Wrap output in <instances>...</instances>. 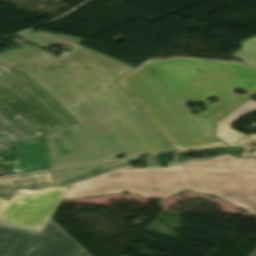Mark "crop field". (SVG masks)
<instances>
[{"label":"crop field","instance_id":"e52e79f7","mask_svg":"<svg viewBox=\"0 0 256 256\" xmlns=\"http://www.w3.org/2000/svg\"><path fill=\"white\" fill-rule=\"evenodd\" d=\"M15 161L1 162L7 175L50 169L44 135L14 147Z\"/></svg>","mask_w":256,"mask_h":256},{"label":"crop field","instance_id":"3316defc","mask_svg":"<svg viewBox=\"0 0 256 256\" xmlns=\"http://www.w3.org/2000/svg\"><path fill=\"white\" fill-rule=\"evenodd\" d=\"M256 95V94H255ZM256 110V102L252 100H247L246 102L242 103L239 107H237L233 112H231L226 117L222 118L221 120L217 121V128L215 135L220 140H222L226 144H232L237 140L243 138L246 135H243L231 128L230 125L244 116L245 114Z\"/></svg>","mask_w":256,"mask_h":256},{"label":"crop field","instance_id":"22f410ed","mask_svg":"<svg viewBox=\"0 0 256 256\" xmlns=\"http://www.w3.org/2000/svg\"><path fill=\"white\" fill-rule=\"evenodd\" d=\"M245 155L256 156V148H246L242 156H245Z\"/></svg>","mask_w":256,"mask_h":256},{"label":"crop field","instance_id":"f4fd0767","mask_svg":"<svg viewBox=\"0 0 256 256\" xmlns=\"http://www.w3.org/2000/svg\"><path fill=\"white\" fill-rule=\"evenodd\" d=\"M0 256H91L53 219L39 232L0 225Z\"/></svg>","mask_w":256,"mask_h":256},{"label":"crop field","instance_id":"412701ff","mask_svg":"<svg viewBox=\"0 0 256 256\" xmlns=\"http://www.w3.org/2000/svg\"><path fill=\"white\" fill-rule=\"evenodd\" d=\"M75 122L20 71L0 64V151Z\"/></svg>","mask_w":256,"mask_h":256},{"label":"crop field","instance_id":"5a996713","mask_svg":"<svg viewBox=\"0 0 256 256\" xmlns=\"http://www.w3.org/2000/svg\"><path fill=\"white\" fill-rule=\"evenodd\" d=\"M52 185L50 171L0 178V196L9 197L14 188H39Z\"/></svg>","mask_w":256,"mask_h":256},{"label":"crop field","instance_id":"d8731c3e","mask_svg":"<svg viewBox=\"0 0 256 256\" xmlns=\"http://www.w3.org/2000/svg\"><path fill=\"white\" fill-rule=\"evenodd\" d=\"M141 158L126 159L115 162L101 163L95 165L67 168L51 171L53 185L68 184L73 181L89 177L111 168L122 166L130 161H135Z\"/></svg>","mask_w":256,"mask_h":256},{"label":"crop field","instance_id":"34b2d1b8","mask_svg":"<svg viewBox=\"0 0 256 256\" xmlns=\"http://www.w3.org/2000/svg\"><path fill=\"white\" fill-rule=\"evenodd\" d=\"M183 189L223 198L256 216V159L223 155L166 168L134 169L129 165L71 184L63 199L119 192L154 199Z\"/></svg>","mask_w":256,"mask_h":256},{"label":"crop field","instance_id":"8a807250","mask_svg":"<svg viewBox=\"0 0 256 256\" xmlns=\"http://www.w3.org/2000/svg\"><path fill=\"white\" fill-rule=\"evenodd\" d=\"M16 36L41 48L72 46L63 57L24 42L0 51V63L20 70L77 121L45 135L51 168L173 150L115 82L133 67L79 45L84 39L76 36Z\"/></svg>","mask_w":256,"mask_h":256},{"label":"crop field","instance_id":"cbeb9de0","mask_svg":"<svg viewBox=\"0 0 256 256\" xmlns=\"http://www.w3.org/2000/svg\"><path fill=\"white\" fill-rule=\"evenodd\" d=\"M122 256V255H121Z\"/></svg>","mask_w":256,"mask_h":256},{"label":"crop field","instance_id":"dd49c442","mask_svg":"<svg viewBox=\"0 0 256 256\" xmlns=\"http://www.w3.org/2000/svg\"><path fill=\"white\" fill-rule=\"evenodd\" d=\"M68 186L37 191L16 190L0 224L39 232L51 218ZM7 203L0 198V216Z\"/></svg>","mask_w":256,"mask_h":256},{"label":"crop field","instance_id":"28ad6ade","mask_svg":"<svg viewBox=\"0 0 256 256\" xmlns=\"http://www.w3.org/2000/svg\"><path fill=\"white\" fill-rule=\"evenodd\" d=\"M229 56L256 67V35L240 41V48Z\"/></svg>","mask_w":256,"mask_h":256},{"label":"crop field","instance_id":"d1516ede","mask_svg":"<svg viewBox=\"0 0 256 256\" xmlns=\"http://www.w3.org/2000/svg\"><path fill=\"white\" fill-rule=\"evenodd\" d=\"M235 145H242V146H256V135L253 134L247 139L235 144Z\"/></svg>","mask_w":256,"mask_h":256},{"label":"crop field","instance_id":"ac0d7876","mask_svg":"<svg viewBox=\"0 0 256 256\" xmlns=\"http://www.w3.org/2000/svg\"><path fill=\"white\" fill-rule=\"evenodd\" d=\"M116 82L174 150H181L220 145L201 122L213 134L216 120L256 93V68L237 61L148 59ZM238 88L247 94L231 93ZM211 97H217V103L210 104ZM185 101L204 102L205 111L197 114L201 122Z\"/></svg>","mask_w":256,"mask_h":256}]
</instances>
